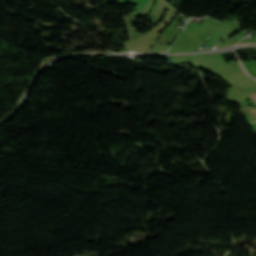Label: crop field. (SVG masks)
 <instances>
[{
  "label": "crop field",
  "instance_id": "obj_1",
  "mask_svg": "<svg viewBox=\"0 0 256 256\" xmlns=\"http://www.w3.org/2000/svg\"><path fill=\"white\" fill-rule=\"evenodd\" d=\"M250 96L256 101V93L255 92L253 94H251Z\"/></svg>",
  "mask_w": 256,
  "mask_h": 256
}]
</instances>
